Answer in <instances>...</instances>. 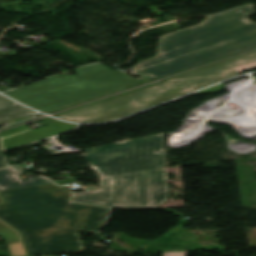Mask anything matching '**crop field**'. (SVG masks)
<instances>
[{
  "instance_id": "412701ff",
  "label": "crop field",
  "mask_w": 256,
  "mask_h": 256,
  "mask_svg": "<svg viewBox=\"0 0 256 256\" xmlns=\"http://www.w3.org/2000/svg\"><path fill=\"white\" fill-rule=\"evenodd\" d=\"M255 67L256 51L58 117L82 122L110 121Z\"/></svg>"
},
{
  "instance_id": "3316defc",
  "label": "crop field",
  "mask_w": 256,
  "mask_h": 256,
  "mask_svg": "<svg viewBox=\"0 0 256 256\" xmlns=\"http://www.w3.org/2000/svg\"><path fill=\"white\" fill-rule=\"evenodd\" d=\"M223 90H224V89H223V84H221V85H218V86H216V87L207 89V90L202 91V92H200V93H197V94L216 93V92H222Z\"/></svg>"
},
{
  "instance_id": "cbeb9de0",
  "label": "crop field",
  "mask_w": 256,
  "mask_h": 256,
  "mask_svg": "<svg viewBox=\"0 0 256 256\" xmlns=\"http://www.w3.org/2000/svg\"><path fill=\"white\" fill-rule=\"evenodd\" d=\"M31 236H34V239H40V238L46 237L47 235L46 234H33V235H30V237Z\"/></svg>"
},
{
  "instance_id": "28ad6ade",
  "label": "crop field",
  "mask_w": 256,
  "mask_h": 256,
  "mask_svg": "<svg viewBox=\"0 0 256 256\" xmlns=\"http://www.w3.org/2000/svg\"><path fill=\"white\" fill-rule=\"evenodd\" d=\"M26 130H30V128H29L28 126L24 125V126L18 128V129H16V130H14V131H11V132H9V133L4 134V135H2V136H3V138H4V137L11 136V135H15V134H17V133H20V132L26 131Z\"/></svg>"
},
{
  "instance_id": "ac0d7876",
  "label": "crop field",
  "mask_w": 256,
  "mask_h": 256,
  "mask_svg": "<svg viewBox=\"0 0 256 256\" xmlns=\"http://www.w3.org/2000/svg\"><path fill=\"white\" fill-rule=\"evenodd\" d=\"M0 218L19 230L29 256L85 251L78 231L96 233L109 208L69 203L71 194L56 185L0 192ZM47 233L40 240L28 234Z\"/></svg>"
},
{
  "instance_id": "e52e79f7",
  "label": "crop field",
  "mask_w": 256,
  "mask_h": 256,
  "mask_svg": "<svg viewBox=\"0 0 256 256\" xmlns=\"http://www.w3.org/2000/svg\"><path fill=\"white\" fill-rule=\"evenodd\" d=\"M19 174L20 173H18L17 171L9 167L1 168L0 169V190L51 183L50 180L43 177H38V178L23 181L21 178L17 176Z\"/></svg>"
},
{
  "instance_id": "d1516ede",
  "label": "crop field",
  "mask_w": 256,
  "mask_h": 256,
  "mask_svg": "<svg viewBox=\"0 0 256 256\" xmlns=\"http://www.w3.org/2000/svg\"><path fill=\"white\" fill-rule=\"evenodd\" d=\"M164 256H186V252L164 253Z\"/></svg>"
},
{
  "instance_id": "f4fd0767",
  "label": "crop field",
  "mask_w": 256,
  "mask_h": 256,
  "mask_svg": "<svg viewBox=\"0 0 256 256\" xmlns=\"http://www.w3.org/2000/svg\"><path fill=\"white\" fill-rule=\"evenodd\" d=\"M78 76H60L16 89L6 95L46 113L136 84L119 71L102 64L75 70Z\"/></svg>"
},
{
  "instance_id": "22f410ed",
  "label": "crop field",
  "mask_w": 256,
  "mask_h": 256,
  "mask_svg": "<svg viewBox=\"0 0 256 256\" xmlns=\"http://www.w3.org/2000/svg\"><path fill=\"white\" fill-rule=\"evenodd\" d=\"M6 166L4 163V159H3V155H2V151H1V146H0V167H4Z\"/></svg>"
},
{
  "instance_id": "dd49c442",
  "label": "crop field",
  "mask_w": 256,
  "mask_h": 256,
  "mask_svg": "<svg viewBox=\"0 0 256 256\" xmlns=\"http://www.w3.org/2000/svg\"><path fill=\"white\" fill-rule=\"evenodd\" d=\"M42 122L46 123L47 126L11 138L4 139L3 142L5 150L73 129L75 126L55 121L53 119L42 120Z\"/></svg>"
},
{
  "instance_id": "34b2d1b8",
  "label": "crop field",
  "mask_w": 256,
  "mask_h": 256,
  "mask_svg": "<svg viewBox=\"0 0 256 256\" xmlns=\"http://www.w3.org/2000/svg\"><path fill=\"white\" fill-rule=\"evenodd\" d=\"M255 13L247 5L209 17L201 25L161 38L158 56L133 68L151 80L256 46Z\"/></svg>"
},
{
  "instance_id": "5a996713",
  "label": "crop field",
  "mask_w": 256,
  "mask_h": 256,
  "mask_svg": "<svg viewBox=\"0 0 256 256\" xmlns=\"http://www.w3.org/2000/svg\"><path fill=\"white\" fill-rule=\"evenodd\" d=\"M33 114V112L0 95V122Z\"/></svg>"
},
{
  "instance_id": "d8731c3e",
  "label": "crop field",
  "mask_w": 256,
  "mask_h": 256,
  "mask_svg": "<svg viewBox=\"0 0 256 256\" xmlns=\"http://www.w3.org/2000/svg\"><path fill=\"white\" fill-rule=\"evenodd\" d=\"M4 203L0 198V204ZM0 235L6 239L11 256H27L19 233L0 220Z\"/></svg>"
},
{
  "instance_id": "8a807250",
  "label": "crop field",
  "mask_w": 256,
  "mask_h": 256,
  "mask_svg": "<svg viewBox=\"0 0 256 256\" xmlns=\"http://www.w3.org/2000/svg\"><path fill=\"white\" fill-rule=\"evenodd\" d=\"M82 157L103 174L101 188L72 201L119 208L156 207L168 198L163 133L86 149Z\"/></svg>"
}]
</instances>
